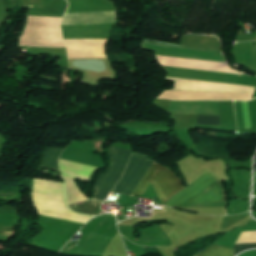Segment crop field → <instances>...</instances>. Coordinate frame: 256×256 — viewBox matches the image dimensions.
<instances>
[{"mask_svg":"<svg viewBox=\"0 0 256 256\" xmlns=\"http://www.w3.org/2000/svg\"><path fill=\"white\" fill-rule=\"evenodd\" d=\"M15 227L0 225V235L12 237Z\"/></svg>","mask_w":256,"mask_h":256,"instance_id":"28ad6ade","label":"crop field"},{"mask_svg":"<svg viewBox=\"0 0 256 256\" xmlns=\"http://www.w3.org/2000/svg\"><path fill=\"white\" fill-rule=\"evenodd\" d=\"M115 12L66 13L62 24L115 23Z\"/></svg>","mask_w":256,"mask_h":256,"instance_id":"dd49c442","label":"crop field"},{"mask_svg":"<svg viewBox=\"0 0 256 256\" xmlns=\"http://www.w3.org/2000/svg\"><path fill=\"white\" fill-rule=\"evenodd\" d=\"M197 124L221 125L219 116L198 115Z\"/></svg>","mask_w":256,"mask_h":256,"instance_id":"5a996713","label":"crop field"},{"mask_svg":"<svg viewBox=\"0 0 256 256\" xmlns=\"http://www.w3.org/2000/svg\"><path fill=\"white\" fill-rule=\"evenodd\" d=\"M152 161L146 156L133 154L121 181L119 180L120 182L113 192L130 196Z\"/></svg>","mask_w":256,"mask_h":256,"instance_id":"412701ff","label":"crop field"},{"mask_svg":"<svg viewBox=\"0 0 256 256\" xmlns=\"http://www.w3.org/2000/svg\"><path fill=\"white\" fill-rule=\"evenodd\" d=\"M232 251L233 250H231V249L212 245V246L204 249L203 251L197 253L196 255H200V256H232Z\"/></svg>","mask_w":256,"mask_h":256,"instance_id":"d8731c3e","label":"crop field"},{"mask_svg":"<svg viewBox=\"0 0 256 256\" xmlns=\"http://www.w3.org/2000/svg\"><path fill=\"white\" fill-rule=\"evenodd\" d=\"M178 179L171 170L154 161L131 196L144 194L151 183L162 205H164L171 196L184 188Z\"/></svg>","mask_w":256,"mask_h":256,"instance_id":"ac0d7876","label":"crop field"},{"mask_svg":"<svg viewBox=\"0 0 256 256\" xmlns=\"http://www.w3.org/2000/svg\"><path fill=\"white\" fill-rule=\"evenodd\" d=\"M63 149L48 148L45 152L40 167L58 170V157Z\"/></svg>","mask_w":256,"mask_h":256,"instance_id":"e52e79f7","label":"crop field"},{"mask_svg":"<svg viewBox=\"0 0 256 256\" xmlns=\"http://www.w3.org/2000/svg\"><path fill=\"white\" fill-rule=\"evenodd\" d=\"M256 248V244H236L233 252V256H236L239 252L246 250Z\"/></svg>","mask_w":256,"mask_h":256,"instance_id":"3316defc","label":"crop field"},{"mask_svg":"<svg viewBox=\"0 0 256 256\" xmlns=\"http://www.w3.org/2000/svg\"><path fill=\"white\" fill-rule=\"evenodd\" d=\"M130 152L128 149L109 147L110 169L98 177L92 200L101 202L109 195L125 169Z\"/></svg>","mask_w":256,"mask_h":256,"instance_id":"34b2d1b8","label":"crop field"},{"mask_svg":"<svg viewBox=\"0 0 256 256\" xmlns=\"http://www.w3.org/2000/svg\"><path fill=\"white\" fill-rule=\"evenodd\" d=\"M143 42L183 49H193L221 53L220 41L218 38L213 36L186 35L183 36L182 39L180 40L179 46L154 42L147 39H145Z\"/></svg>","mask_w":256,"mask_h":256,"instance_id":"f4fd0767","label":"crop field"},{"mask_svg":"<svg viewBox=\"0 0 256 256\" xmlns=\"http://www.w3.org/2000/svg\"><path fill=\"white\" fill-rule=\"evenodd\" d=\"M225 201V189L208 172L183 191L171 197L165 205L184 209L187 205Z\"/></svg>","mask_w":256,"mask_h":256,"instance_id":"8a807250","label":"crop field"}]
</instances>
